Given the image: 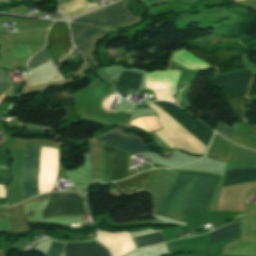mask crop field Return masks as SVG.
<instances>
[{
    "label": "crop field",
    "instance_id": "29",
    "mask_svg": "<svg viewBox=\"0 0 256 256\" xmlns=\"http://www.w3.org/2000/svg\"><path fill=\"white\" fill-rule=\"evenodd\" d=\"M0 256H4V255H3V252H2L1 250H0Z\"/></svg>",
    "mask_w": 256,
    "mask_h": 256
},
{
    "label": "crop field",
    "instance_id": "5",
    "mask_svg": "<svg viewBox=\"0 0 256 256\" xmlns=\"http://www.w3.org/2000/svg\"><path fill=\"white\" fill-rule=\"evenodd\" d=\"M192 53L207 61L219 74L245 68L241 60V51L228 50L213 54H206L196 49H190Z\"/></svg>",
    "mask_w": 256,
    "mask_h": 256
},
{
    "label": "crop field",
    "instance_id": "21",
    "mask_svg": "<svg viewBox=\"0 0 256 256\" xmlns=\"http://www.w3.org/2000/svg\"><path fill=\"white\" fill-rule=\"evenodd\" d=\"M132 240L136 248L165 241L162 232L134 238Z\"/></svg>",
    "mask_w": 256,
    "mask_h": 256
},
{
    "label": "crop field",
    "instance_id": "15",
    "mask_svg": "<svg viewBox=\"0 0 256 256\" xmlns=\"http://www.w3.org/2000/svg\"><path fill=\"white\" fill-rule=\"evenodd\" d=\"M66 1H69V0H60V4ZM100 6H101L100 3H96V2L87 4L85 0H72L64 4H61L59 6V10L66 18H68Z\"/></svg>",
    "mask_w": 256,
    "mask_h": 256
},
{
    "label": "crop field",
    "instance_id": "18",
    "mask_svg": "<svg viewBox=\"0 0 256 256\" xmlns=\"http://www.w3.org/2000/svg\"><path fill=\"white\" fill-rule=\"evenodd\" d=\"M153 171H146L126 180L116 182L115 184L124 193H132Z\"/></svg>",
    "mask_w": 256,
    "mask_h": 256
},
{
    "label": "crop field",
    "instance_id": "14",
    "mask_svg": "<svg viewBox=\"0 0 256 256\" xmlns=\"http://www.w3.org/2000/svg\"><path fill=\"white\" fill-rule=\"evenodd\" d=\"M256 181V168L229 170L224 172L222 186Z\"/></svg>",
    "mask_w": 256,
    "mask_h": 256
},
{
    "label": "crop field",
    "instance_id": "4",
    "mask_svg": "<svg viewBox=\"0 0 256 256\" xmlns=\"http://www.w3.org/2000/svg\"><path fill=\"white\" fill-rule=\"evenodd\" d=\"M178 76L179 71L174 70L152 71L150 73L145 72V78L169 81L173 96L175 93ZM169 83L164 81L145 79L146 89H151L155 93L157 100L174 102L175 99L171 98L172 95Z\"/></svg>",
    "mask_w": 256,
    "mask_h": 256
},
{
    "label": "crop field",
    "instance_id": "11",
    "mask_svg": "<svg viewBox=\"0 0 256 256\" xmlns=\"http://www.w3.org/2000/svg\"><path fill=\"white\" fill-rule=\"evenodd\" d=\"M252 76L250 70H246L210 79V81L214 86L221 88L224 94L227 95L245 92Z\"/></svg>",
    "mask_w": 256,
    "mask_h": 256
},
{
    "label": "crop field",
    "instance_id": "6",
    "mask_svg": "<svg viewBox=\"0 0 256 256\" xmlns=\"http://www.w3.org/2000/svg\"><path fill=\"white\" fill-rule=\"evenodd\" d=\"M130 18H132V16L125 9L122 1H119L113 6L71 21L104 27Z\"/></svg>",
    "mask_w": 256,
    "mask_h": 256
},
{
    "label": "crop field",
    "instance_id": "17",
    "mask_svg": "<svg viewBox=\"0 0 256 256\" xmlns=\"http://www.w3.org/2000/svg\"><path fill=\"white\" fill-rule=\"evenodd\" d=\"M186 51L183 49L179 52H176L174 54L172 60L191 69V70L204 69V68L210 67L206 63H204L200 59L190 55L191 53L189 54Z\"/></svg>",
    "mask_w": 256,
    "mask_h": 256
},
{
    "label": "crop field",
    "instance_id": "8",
    "mask_svg": "<svg viewBox=\"0 0 256 256\" xmlns=\"http://www.w3.org/2000/svg\"><path fill=\"white\" fill-rule=\"evenodd\" d=\"M104 146L105 182L128 177L126 170L127 153L106 145Z\"/></svg>",
    "mask_w": 256,
    "mask_h": 256
},
{
    "label": "crop field",
    "instance_id": "1",
    "mask_svg": "<svg viewBox=\"0 0 256 256\" xmlns=\"http://www.w3.org/2000/svg\"><path fill=\"white\" fill-rule=\"evenodd\" d=\"M220 178L179 172L156 215L185 222L186 210L207 211Z\"/></svg>",
    "mask_w": 256,
    "mask_h": 256
},
{
    "label": "crop field",
    "instance_id": "26",
    "mask_svg": "<svg viewBox=\"0 0 256 256\" xmlns=\"http://www.w3.org/2000/svg\"><path fill=\"white\" fill-rule=\"evenodd\" d=\"M256 94V79L253 78L251 84H250V87H249V90H248V93L246 96H249V95H255Z\"/></svg>",
    "mask_w": 256,
    "mask_h": 256
},
{
    "label": "crop field",
    "instance_id": "3",
    "mask_svg": "<svg viewBox=\"0 0 256 256\" xmlns=\"http://www.w3.org/2000/svg\"><path fill=\"white\" fill-rule=\"evenodd\" d=\"M161 107L165 112L172 116L177 122H179L186 130H188L193 136L199 139L206 146L212 135V132L201 124L194 117L187 114L180 108L165 102H154ZM161 124V122H160ZM162 125V124H161ZM164 128V127H163Z\"/></svg>",
    "mask_w": 256,
    "mask_h": 256
},
{
    "label": "crop field",
    "instance_id": "2",
    "mask_svg": "<svg viewBox=\"0 0 256 256\" xmlns=\"http://www.w3.org/2000/svg\"><path fill=\"white\" fill-rule=\"evenodd\" d=\"M51 196L44 208V218L86 215L82 196L73 193H56Z\"/></svg>",
    "mask_w": 256,
    "mask_h": 256
},
{
    "label": "crop field",
    "instance_id": "9",
    "mask_svg": "<svg viewBox=\"0 0 256 256\" xmlns=\"http://www.w3.org/2000/svg\"><path fill=\"white\" fill-rule=\"evenodd\" d=\"M94 139L100 140L111 146L119 147L127 150L133 155L148 152L147 148L140 141V139L132 134L126 133L122 130L115 129L104 135L95 137Z\"/></svg>",
    "mask_w": 256,
    "mask_h": 256
},
{
    "label": "crop field",
    "instance_id": "7",
    "mask_svg": "<svg viewBox=\"0 0 256 256\" xmlns=\"http://www.w3.org/2000/svg\"><path fill=\"white\" fill-rule=\"evenodd\" d=\"M24 192L25 200L39 194V147H26Z\"/></svg>",
    "mask_w": 256,
    "mask_h": 256
},
{
    "label": "crop field",
    "instance_id": "30",
    "mask_svg": "<svg viewBox=\"0 0 256 256\" xmlns=\"http://www.w3.org/2000/svg\"><path fill=\"white\" fill-rule=\"evenodd\" d=\"M3 98H4V95H3Z\"/></svg>",
    "mask_w": 256,
    "mask_h": 256
},
{
    "label": "crop field",
    "instance_id": "22",
    "mask_svg": "<svg viewBox=\"0 0 256 256\" xmlns=\"http://www.w3.org/2000/svg\"><path fill=\"white\" fill-rule=\"evenodd\" d=\"M51 60L46 48L37 53L28 63V69L31 70L47 61Z\"/></svg>",
    "mask_w": 256,
    "mask_h": 256
},
{
    "label": "crop field",
    "instance_id": "12",
    "mask_svg": "<svg viewBox=\"0 0 256 256\" xmlns=\"http://www.w3.org/2000/svg\"><path fill=\"white\" fill-rule=\"evenodd\" d=\"M65 256H110L109 252L98 243L65 244Z\"/></svg>",
    "mask_w": 256,
    "mask_h": 256
},
{
    "label": "crop field",
    "instance_id": "10",
    "mask_svg": "<svg viewBox=\"0 0 256 256\" xmlns=\"http://www.w3.org/2000/svg\"><path fill=\"white\" fill-rule=\"evenodd\" d=\"M66 22H55L48 34L46 47L55 62L70 47Z\"/></svg>",
    "mask_w": 256,
    "mask_h": 256
},
{
    "label": "crop field",
    "instance_id": "28",
    "mask_svg": "<svg viewBox=\"0 0 256 256\" xmlns=\"http://www.w3.org/2000/svg\"><path fill=\"white\" fill-rule=\"evenodd\" d=\"M143 1L145 2L146 5H149V4H154V3L162 2V1H165V0H143ZM183 1L193 2L195 0H183Z\"/></svg>",
    "mask_w": 256,
    "mask_h": 256
},
{
    "label": "crop field",
    "instance_id": "13",
    "mask_svg": "<svg viewBox=\"0 0 256 256\" xmlns=\"http://www.w3.org/2000/svg\"><path fill=\"white\" fill-rule=\"evenodd\" d=\"M69 24L71 27L73 42L77 50L80 51L82 55H84L85 46H86L88 37L91 34L101 30V28L86 26L78 23L69 22Z\"/></svg>",
    "mask_w": 256,
    "mask_h": 256
},
{
    "label": "crop field",
    "instance_id": "16",
    "mask_svg": "<svg viewBox=\"0 0 256 256\" xmlns=\"http://www.w3.org/2000/svg\"><path fill=\"white\" fill-rule=\"evenodd\" d=\"M141 76L142 74L133 72L121 73L114 88L125 99L127 93H129L132 90L139 89Z\"/></svg>",
    "mask_w": 256,
    "mask_h": 256
},
{
    "label": "crop field",
    "instance_id": "20",
    "mask_svg": "<svg viewBox=\"0 0 256 256\" xmlns=\"http://www.w3.org/2000/svg\"><path fill=\"white\" fill-rule=\"evenodd\" d=\"M245 93L238 94V95L225 96L227 103L229 104L230 108L233 110L236 118L240 121H243L241 104L245 96Z\"/></svg>",
    "mask_w": 256,
    "mask_h": 256
},
{
    "label": "crop field",
    "instance_id": "19",
    "mask_svg": "<svg viewBox=\"0 0 256 256\" xmlns=\"http://www.w3.org/2000/svg\"><path fill=\"white\" fill-rule=\"evenodd\" d=\"M237 235H238V222L228 224L211 233L209 245L237 236Z\"/></svg>",
    "mask_w": 256,
    "mask_h": 256
},
{
    "label": "crop field",
    "instance_id": "25",
    "mask_svg": "<svg viewBox=\"0 0 256 256\" xmlns=\"http://www.w3.org/2000/svg\"><path fill=\"white\" fill-rule=\"evenodd\" d=\"M5 75H4V71L0 70V95L4 92L5 89Z\"/></svg>",
    "mask_w": 256,
    "mask_h": 256
},
{
    "label": "crop field",
    "instance_id": "24",
    "mask_svg": "<svg viewBox=\"0 0 256 256\" xmlns=\"http://www.w3.org/2000/svg\"><path fill=\"white\" fill-rule=\"evenodd\" d=\"M63 249H64V243L54 241L49 251L47 252L46 256H60Z\"/></svg>",
    "mask_w": 256,
    "mask_h": 256
},
{
    "label": "crop field",
    "instance_id": "23",
    "mask_svg": "<svg viewBox=\"0 0 256 256\" xmlns=\"http://www.w3.org/2000/svg\"><path fill=\"white\" fill-rule=\"evenodd\" d=\"M231 127H229L228 125H226L225 123L221 122L218 120L217 122V126L215 128V131H217L218 133H220L221 135H223L224 137H226L227 139H229L230 134H238V135H247V136H256V135H250V134H243V133H238V132H233L230 131Z\"/></svg>",
    "mask_w": 256,
    "mask_h": 256
},
{
    "label": "crop field",
    "instance_id": "27",
    "mask_svg": "<svg viewBox=\"0 0 256 256\" xmlns=\"http://www.w3.org/2000/svg\"><path fill=\"white\" fill-rule=\"evenodd\" d=\"M130 125H131V126H132V125H135V126H137V127H140V128L145 129L144 122H143V119H142V118L130 121ZM145 130H146V129H145Z\"/></svg>",
    "mask_w": 256,
    "mask_h": 256
}]
</instances>
